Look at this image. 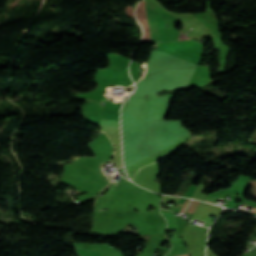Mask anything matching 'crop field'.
I'll return each instance as SVG.
<instances>
[{"instance_id": "crop-field-1", "label": "crop field", "mask_w": 256, "mask_h": 256, "mask_svg": "<svg viewBox=\"0 0 256 256\" xmlns=\"http://www.w3.org/2000/svg\"><path fill=\"white\" fill-rule=\"evenodd\" d=\"M136 17L140 21L141 25L145 30V34L142 42H151L144 2L139 4L136 10Z\"/></svg>"}, {"instance_id": "crop-field-2", "label": "crop field", "mask_w": 256, "mask_h": 256, "mask_svg": "<svg viewBox=\"0 0 256 256\" xmlns=\"http://www.w3.org/2000/svg\"><path fill=\"white\" fill-rule=\"evenodd\" d=\"M198 204H199V201L194 200V202L192 203V205L188 209V212L194 213V211H195L196 207L198 206Z\"/></svg>"}, {"instance_id": "crop-field-3", "label": "crop field", "mask_w": 256, "mask_h": 256, "mask_svg": "<svg viewBox=\"0 0 256 256\" xmlns=\"http://www.w3.org/2000/svg\"><path fill=\"white\" fill-rule=\"evenodd\" d=\"M126 11H127V13L130 15V16H132V17H134V8L133 7H130L129 5L126 7Z\"/></svg>"}, {"instance_id": "crop-field-4", "label": "crop field", "mask_w": 256, "mask_h": 256, "mask_svg": "<svg viewBox=\"0 0 256 256\" xmlns=\"http://www.w3.org/2000/svg\"><path fill=\"white\" fill-rule=\"evenodd\" d=\"M189 200H190V199H187V200H186V202H185L184 206L182 207L180 213H183V211H184L186 205L188 204Z\"/></svg>"}, {"instance_id": "crop-field-5", "label": "crop field", "mask_w": 256, "mask_h": 256, "mask_svg": "<svg viewBox=\"0 0 256 256\" xmlns=\"http://www.w3.org/2000/svg\"><path fill=\"white\" fill-rule=\"evenodd\" d=\"M182 256H189V254H186V255H182Z\"/></svg>"}, {"instance_id": "crop-field-6", "label": "crop field", "mask_w": 256, "mask_h": 256, "mask_svg": "<svg viewBox=\"0 0 256 256\" xmlns=\"http://www.w3.org/2000/svg\"><path fill=\"white\" fill-rule=\"evenodd\" d=\"M206 201V200H205ZM208 202V201H207Z\"/></svg>"}]
</instances>
